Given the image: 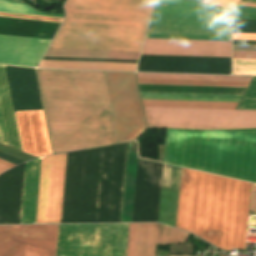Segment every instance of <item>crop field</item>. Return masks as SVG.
Listing matches in <instances>:
<instances>
[{"mask_svg":"<svg viewBox=\"0 0 256 256\" xmlns=\"http://www.w3.org/2000/svg\"><path fill=\"white\" fill-rule=\"evenodd\" d=\"M37 72L54 153L118 143L103 72Z\"/></svg>","mask_w":256,"mask_h":256,"instance_id":"1","label":"crop field"},{"mask_svg":"<svg viewBox=\"0 0 256 256\" xmlns=\"http://www.w3.org/2000/svg\"><path fill=\"white\" fill-rule=\"evenodd\" d=\"M251 183L182 168L176 227L245 250Z\"/></svg>","mask_w":256,"mask_h":256,"instance_id":"2","label":"crop field"},{"mask_svg":"<svg viewBox=\"0 0 256 256\" xmlns=\"http://www.w3.org/2000/svg\"><path fill=\"white\" fill-rule=\"evenodd\" d=\"M155 0H68L50 48L140 51Z\"/></svg>","mask_w":256,"mask_h":256,"instance_id":"3","label":"crop field"},{"mask_svg":"<svg viewBox=\"0 0 256 256\" xmlns=\"http://www.w3.org/2000/svg\"><path fill=\"white\" fill-rule=\"evenodd\" d=\"M164 162L256 182V130H167Z\"/></svg>","mask_w":256,"mask_h":256,"instance_id":"4","label":"crop field"},{"mask_svg":"<svg viewBox=\"0 0 256 256\" xmlns=\"http://www.w3.org/2000/svg\"><path fill=\"white\" fill-rule=\"evenodd\" d=\"M200 0H156L146 38L231 40V11Z\"/></svg>","mask_w":256,"mask_h":256,"instance_id":"5","label":"crop field"},{"mask_svg":"<svg viewBox=\"0 0 256 256\" xmlns=\"http://www.w3.org/2000/svg\"><path fill=\"white\" fill-rule=\"evenodd\" d=\"M141 55L231 57V41L146 39ZM141 56L137 71L231 74V58Z\"/></svg>","mask_w":256,"mask_h":256,"instance_id":"6","label":"crop field"},{"mask_svg":"<svg viewBox=\"0 0 256 256\" xmlns=\"http://www.w3.org/2000/svg\"><path fill=\"white\" fill-rule=\"evenodd\" d=\"M101 152L67 153L61 223L95 222Z\"/></svg>","mask_w":256,"mask_h":256,"instance_id":"7","label":"crop field"},{"mask_svg":"<svg viewBox=\"0 0 256 256\" xmlns=\"http://www.w3.org/2000/svg\"><path fill=\"white\" fill-rule=\"evenodd\" d=\"M15 111L43 110L34 69L5 66ZM22 149L52 154L43 111L15 112Z\"/></svg>","mask_w":256,"mask_h":256,"instance_id":"8","label":"crop field"},{"mask_svg":"<svg viewBox=\"0 0 256 256\" xmlns=\"http://www.w3.org/2000/svg\"><path fill=\"white\" fill-rule=\"evenodd\" d=\"M58 25L56 22L0 17V34L52 39ZM6 35H0V64L36 67L50 42Z\"/></svg>","mask_w":256,"mask_h":256,"instance_id":"9","label":"crop field"},{"mask_svg":"<svg viewBox=\"0 0 256 256\" xmlns=\"http://www.w3.org/2000/svg\"><path fill=\"white\" fill-rule=\"evenodd\" d=\"M128 224L59 225L56 256H125Z\"/></svg>","mask_w":256,"mask_h":256,"instance_id":"10","label":"crop field"},{"mask_svg":"<svg viewBox=\"0 0 256 256\" xmlns=\"http://www.w3.org/2000/svg\"><path fill=\"white\" fill-rule=\"evenodd\" d=\"M149 127L256 128V111L144 107Z\"/></svg>","mask_w":256,"mask_h":256,"instance_id":"11","label":"crop field"},{"mask_svg":"<svg viewBox=\"0 0 256 256\" xmlns=\"http://www.w3.org/2000/svg\"><path fill=\"white\" fill-rule=\"evenodd\" d=\"M118 141L135 139L145 129V121L134 73L104 72Z\"/></svg>","mask_w":256,"mask_h":256,"instance_id":"12","label":"crop field"},{"mask_svg":"<svg viewBox=\"0 0 256 256\" xmlns=\"http://www.w3.org/2000/svg\"><path fill=\"white\" fill-rule=\"evenodd\" d=\"M125 148L103 147L96 222H119Z\"/></svg>","mask_w":256,"mask_h":256,"instance_id":"13","label":"crop field"},{"mask_svg":"<svg viewBox=\"0 0 256 256\" xmlns=\"http://www.w3.org/2000/svg\"><path fill=\"white\" fill-rule=\"evenodd\" d=\"M25 225L0 226V256H22ZM58 225H26L23 256H55Z\"/></svg>","mask_w":256,"mask_h":256,"instance_id":"14","label":"crop field"},{"mask_svg":"<svg viewBox=\"0 0 256 256\" xmlns=\"http://www.w3.org/2000/svg\"><path fill=\"white\" fill-rule=\"evenodd\" d=\"M66 153L42 157L36 223H60Z\"/></svg>","mask_w":256,"mask_h":256,"instance_id":"15","label":"crop field"},{"mask_svg":"<svg viewBox=\"0 0 256 256\" xmlns=\"http://www.w3.org/2000/svg\"><path fill=\"white\" fill-rule=\"evenodd\" d=\"M162 168L138 159L132 222H157Z\"/></svg>","mask_w":256,"mask_h":256,"instance_id":"16","label":"crop field"},{"mask_svg":"<svg viewBox=\"0 0 256 256\" xmlns=\"http://www.w3.org/2000/svg\"><path fill=\"white\" fill-rule=\"evenodd\" d=\"M25 163L0 175V224L20 223Z\"/></svg>","mask_w":256,"mask_h":256,"instance_id":"17","label":"crop field"},{"mask_svg":"<svg viewBox=\"0 0 256 256\" xmlns=\"http://www.w3.org/2000/svg\"><path fill=\"white\" fill-rule=\"evenodd\" d=\"M187 236L188 233L161 224H138L135 256H154L155 242L184 243Z\"/></svg>","mask_w":256,"mask_h":256,"instance_id":"18","label":"crop field"},{"mask_svg":"<svg viewBox=\"0 0 256 256\" xmlns=\"http://www.w3.org/2000/svg\"><path fill=\"white\" fill-rule=\"evenodd\" d=\"M181 168L164 164L158 222L175 227Z\"/></svg>","mask_w":256,"mask_h":256,"instance_id":"19","label":"crop field"},{"mask_svg":"<svg viewBox=\"0 0 256 256\" xmlns=\"http://www.w3.org/2000/svg\"><path fill=\"white\" fill-rule=\"evenodd\" d=\"M41 157L26 163L21 223H35Z\"/></svg>","mask_w":256,"mask_h":256,"instance_id":"20","label":"crop field"},{"mask_svg":"<svg viewBox=\"0 0 256 256\" xmlns=\"http://www.w3.org/2000/svg\"><path fill=\"white\" fill-rule=\"evenodd\" d=\"M0 110L8 145L22 151L4 66H0Z\"/></svg>","mask_w":256,"mask_h":256,"instance_id":"21","label":"crop field"},{"mask_svg":"<svg viewBox=\"0 0 256 256\" xmlns=\"http://www.w3.org/2000/svg\"><path fill=\"white\" fill-rule=\"evenodd\" d=\"M137 64L42 60L39 68L135 71Z\"/></svg>","mask_w":256,"mask_h":256,"instance_id":"22","label":"crop field"},{"mask_svg":"<svg viewBox=\"0 0 256 256\" xmlns=\"http://www.w3.org/2000/svg\"><path fill=\"white\" fill-rule=\"evenodd\" d=\"M140 52L48 49L45 56L138 60Z\"/></svg>","mask_w":256,"mask_h":256,"instance_id":"23","label":"crop field"},{"mask_svg":"<svg viewBox=\"0 0 256 256\" xmlns=\"http://www.w3.org/2000/svg\"><path fill=\"white\" fill-rule=\"evenodd\" d=\"M140 91L243 94L245 88L139 85Z\"/></svg>","mask_w":256,"mask_h":256,"instance_id":"24","label":"crop field"},{"mask_svg":"<svg viewBox=\"0 0 256 256\" xmlns=\"http://www.w3.org/2000/svg\"><path fill=\"white\" fill-rule=\"evenodd\" d=\"M139 84L247 87L249 82L138 78Z\"/></svg>","mask_w":256,"mask_h":256,"instance_id":"25","label":"crop field"},{"mask_svg":"<svg viewBox=\"0 0 256 256\" xmlns=\"http://www.w3.org/2000/svg\"><path fill=\"white\" fill-rule=\"evenodd\" d=\"M144 106L235 109L237 103L142 100Z\"/></svg>","mask_w":256,"mask_h":256,"instance_id":"26","label":"crop field"},{"mask_svg":"<svg viewBox=\"0 0 256 256\" xmlns=\"http://www.w3.org/2000/svg\"><path fill=\"white\" fill-rule=\"evenodd\" d=\"M138 77L250 81L252 77L137 73Z\"/></svg>","mask_w":256,"mask_h":256,"instance_id":"27","label":"crop field"},{"mask_svg":"<svg viewBox=\"0 0 256 256\" xmlns=\"http://www.w3.org/2000/svg\"><path fill=\"white\" fill-rule=\"evenodd\" d=\"M0 12L63 18V15L39 12L25 4H18V3L6 2L1 0H0Z\"/></svg>","mask_w":256,"mask_h":256,"instance_id":"28","label":"crop field"},{"mask_svg":"<svg viewBox=\"0 0 256 256\" xmlns=\"http://www.w3.org/2000/svg\"><path fill=\"white\" fill-rule=\"evenodd\" d=\"M141 96L240 99L242 95L140 92Z\"/></svg>","mask_w":256,"mask_h":256,"instance_id":"29","label":"crop field"},{"mask_svg":"<svg viewBox=\"0 0 256 256\" xmlns=\"http://www.w3.org/2000/svg\"><path fill=\"white\" fill-rule=\"evenodd\" d=\"M237 109L256 110V77L253 78Z\"/></svg>","mask_w":256,"mask_h":256,"instance_id":"30","label":"crop field"},{"mask_svg":"<svg viewBox=\"0 0 256 256\" xmlns=\"http://www.w3.org/2000/svg\"><path fill=\"white\" fill-rule=\"evenodd\" d=\"M233 74L256 75V60L233 59Z\"/></svg>","mask_w":256,"mask_h":256,"instance_id":"31","label":"crop field"},{"mask_svg":"<svg viewBox=\"0 0 256 256\" xmlns=\"http://www.w3.org/2000/svg\"><path fill=\"white\" fill-rule=\"evenodd\" d=\"M136 229H137V224H130L127 256H134Z\"/></svg>","mask_w":256,"mask_h":256,"instance_id":"32","label":"crop field"},{"mask_svg":"<svg viewBox=\"0 0 256 256\" xmlns=\"http://www.w3.org/2000/svg\"><path fill=\"white\" fill-rule=\"evenodd\" d=\"M0 152H3L5 154H8V155L13 156V157L18 158V159H21L23 161L33 159V157H31V156L25 155L23 153H20L18 151H15L13 149L7 148V147L2 146V145H0Z\"/></svg>","mask_w":256,"mask_h":256,"instance_id":"33","label":"crop field"},{"mask_svg":"<svg viewBox=\"0 0 256 256\" xmlns=\"http://www.w3.org/2000/svg\"><path fill=\"white\" fill-rule=\"evenodd\" d=\"M142 99H158V100H190V101H222V102H239V100L224 99H190V98H157V97H141Z\"/></svg>","mask_w":256,"mask_h":256,"instance_id":"34","label":"crop field"},{"mask_svg":"<svg viewBox=\"0 0 256 256\" xmlns=\"http://www.w3.org/2000/svg\"><path fill=\"white\" fill-rule=\"evenodd\" d=\"M0 16L27 18V19H36V20H46V21H56V22H61V20H62V19H58V18L28 16V15H18V14H8V13H0Z\"/></svg>","mask_w":256,"mask_h":256,"instance_id":"35","label":"crop field"},{"mask_svg":"<svg viewBox=\"0 0 256 256\" xmlns=\"http://www.w3.org/2000/svg\"><path fill=\"white\" fill-rule=\"evenodd\" d=\"M239 0H203L204 3L213 4L232 9Z\"/></svg>","mask_w":256,"mask_h":256,"instance_id":"36","label":"crop field"},{"mask_svg":"<svg viewBox=\"0 0 256 256\" xmlns=\"http://www.w3.org/2000/svg\"><path fill=\"white\" fill-rule=\"evenodd\" d=\"M233 14H250L256 15V8L236 6L233 9Z\"/></svg>","mask_w":256,"mask_h":256,"instance_id":"37","label":"crop field"},{"mask_svg":"<svg viewBox=\"0 0 256 256\" xmlns=\"http://www.w3.org/2000/svg\"><path fill=\"white\" fill-rule=\"evenodd\" d=\"M233 58H249V59H256V52H249V51H233Z\"/></svg>","mask_w":256,"mask_h":256,"instance_id":"38","label":"crop field"},{"mask_svg":"<svg viewBox=\"0 0 256 256\" xmlns=\"http://www.w3.org/2000/svg\"><path fill=\"white\" fill-rule=\"evenodd\" d=\"M250 210L256 211V184L252 183Z\"/></svg>","mask_w":256,"mask_h":256,"instance_id":"39","label":"crop field"},{"mask_svg":"<svg viewBox=\"0 0 256 256\" xmlns=\"http://www.w3.org/2000/svg\"><path fill=\"white\" fill-rule=\"evenodd\" d=\"M233 39H250V40H256V34L233 33Z\"/></svg>","mask_w":256,"mask_h":256,"instance_id":"40","label":"crop field"},{"mask_svg":"<svg viewBox=\"0 0 256 256\" xmlns=\"http://www.w3.org/2000/svg\"><path fill=\"white\" fill-rule=\"evenodd\" d=\"M233 50H249V51H256V46H250V45H233Z\"/></svg>","mask_w":256,"mask_h":256,"instance_id":"41","label":"crop field"},{"mask_svg":"<svg viewBox=\"0 0 256 256\" xmlns=\"http://www.w3.org/2000/svg\"><path fill=\"white\" fill-rule=\"evenodd\" d=\"M0 142L7 145L1 115H0Z\"/></svg>","mask_w":256,"mask_h":256,"instance_id":"42","label":"crop field"},{"mask_svg":"<svg viewBox=\"0 0 256 256\" xmlns=\"http://www.w3.org/2000/svg\"><path fill=\"white\" fill-rule=\"evenodd\" d=\"M233 19H250V20H256V16H250V15H233Z\"/></svg>","mask_w":256,"mask_h":256,"instance_id":"43","label":"crop field"},{"mask_svg":"<svg viewBox=\"0 0 256 256\" xmlns=\"http://www.w3.org/2000/svg\"><path fill=\"white\" fill-rule=\"evenodd\" d=\"M238 5L256 7V3L240 1Z\"/></svg>","mask_w":256,"mask_h":256,"instance_id":"44","label":"crop field"},{"mask_svg":"<svg viewBox=\"0 0 256 256\" xmlns=\"http://www.w3.org/2000/svg\"><path fill=\"white\" fill-rule=\"evenodd\" d=\"M10 167H8V166H5V165H2V164H0V173H2L3 171H5V170H7V169H9Z\"/></svg>","mask_w":256,"mask_h":256,"instance_id":"45","label":"crop field"},{"mask_svg":"<svg viewBox=\"0 0 256 256\" xmlns=\"http://www.w3.org/2000/svg\"><path fill=\"white\" fill-rule=\"evenodd\" d=\"M0 163L5 164V165H8V166H10V167L15 166V165L10 164V163H8V162H5V161H3V160H0Z\"/></svg>","mask_w":256,"mask_h":256,"instance_id":"46","label":"crop field"},{"mask_svg":"<svg viewBox=\"0 0 256 256\" xmlns=\"http://www.w3.org/2000/svg\"><path fill=\"white\" fill-rule=\"evenodd\" d=\"M244 1H252V2H256V0H244Z\"/></svg>","mask_w":256,"mask_h":256,"instance_id":"47","label":"crop field"},{"mask_svg":"<svg viewBox=\"0 0 256 256\" xmlns=\"http://www.w3.org/2000/svg\"><path fill=\"white\" fill-rule=\"evenodd\" d=\"M128 146H129V143H128ZM129 149H131V142H130V146H129Z\"/></svg>","mask_w":256,"mask_h":256,"instance_id":"48","label":"crop field"},{"mask_svg":"<svg viewBox=\"0 0 256 256\" xmlns=\"http://www.w3.org/2000/svg\"><path fill=\"white\" fill-rule=\"evenodd\" d=\"M13 1H21V2H23L22 0H13Z\"/></svg>","mask_w":256,"mask_h":256,"instance_id":"49","label":"crop field"}]
</instances>
